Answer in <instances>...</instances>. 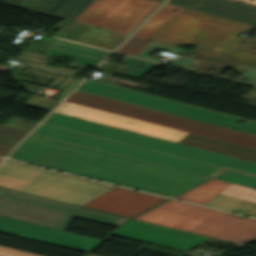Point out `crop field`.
<instances>
[{
  "label": "crop field",
  "mask_w": 256,
  "mask_h": 256,
  "mask_svg": "<svg viewBox=\"0 0 256 256\" xmlns=\"http://www.w3.org/2000/svg\"><path fill=\"white\" fill-rule=\"evenodd\" d=\"M31 134L9 156L92 179L171 197L206 177ZM42 137V136H41ZM136 166L128 165V163Z\"/></svg>",
  "instance_id": "8a807250"
},
{
  "label": "crop field",
  "mask_w": 256,
  "mask_h": 256,
  "mask_svg": "<svg viewBox=\"0 0 256 256\" xmlns=\"http://www.w3.org/2000/svg\"><path fill=\"white\" fill-rule=\"evenodd\" d=\"M253 27L184 8L150 39L174 46L196 45V51L212 57L256 67V41L240 37Z\"/></svg>",
  "instance_id": "ac0d7876"
},
{
  "label": "crop field",
  "mask_w": 256,
  "mask_h": 256,
  "mask_svg": "<svg viewBox=\"0 0 256 256\" xmlns=\"http://www.w3.org/2000/svg\"><path fill=\"white\" fill-rule=\"evenodd\" d=\"M134 219L233 243L256 238V220L169 200Z\"/></svg>",
  "instance_id": "34b2d1b8"
},
{
  "label": "crop field",
  "mask_w": 256,
  "mask_h": 256,
  "mask_svg": "<svg viewBox=\"0 0 256 256\" xmlns=\"http://www.w3.org/2000/svg\"><path fill=\"white\" fill-rule=\"evenodd\" d=\"M0 187L81 206L115 186L4 159Z\"/></svg>",
  "instance_id": "412701ff"
},
{
  "label": "crop field",
  "mask_w": 256,
  "mask_h": 256,
  "mask_svg": "<svg viewBox=\"0 0 256 256\" xmlns=\"http://www.w3.org/2000/svg\"><path fill=\"white\" fill-rule=\"evenodd\" d=\"M44 123L122 141L154 151L256 174V163L53 112Z\"/></svg>",
  "instance_id": "f4fd0767"
},
{
  "label": "crop field",
  "mask_w": 256,
  "mask_h": 256,
  "mask_svg": "<svg viewBox=\"0 0 256 256\" xmlns=\"http://www.w3.org/2000/svg\"><path fill=\"white\" fill-rule=\"evenodd\" d=\"M71 131L72 130L42 123L33 133L206 177L211 176L221 169V167L199 163L162 153H158L159 155L157 156L150 155L148 154L151 151L150 149L92 135L87 137H78L69 134ZM219 173L231 178L229 181L230 183L256 189V176L226 168L221 170Z\"/></svg>",
  "instance_id": "dd49c442"
},
{
  "label": "crop field",
  "mask_w": 256,
  "mask_h": 256,
  "mask_svg": "<svg viewBox=\"0 0 256 256\" xmlns=\"http://www.w3.org/2000/svg\"><path fill=\"white\" fill-rule=\"evenodd\" d=\"M66 101L104 110L118 115L192 132L252 148H256V136L234 132L229 128L81 92L75 90ZM122 103L121 105H118Z\"/></svg>",
  "instance_id": "e52e79f7"
},
{
  "label": "crop field",
  "mask_w": 256,
  "mask_h": 256,
  "mask_svg": "<svg viewBox=\"0 0 256 256\" xmlns=\"http://www.w3.org/2000/svg\"><path fill=\"white\" fill-rule=\"evenodd\" d=\"M0 215L65 230L72 215L118 226L128 218L9 190Z\"/></svg>",
  "instance_id": "d8731c3e"
},
{
  "label": "crop field",
  "mask_w": 256,
  "mask_h": 256,
  "mask_svg": "<svg viewBox=\"0 0 256 256\" xmlns=\"http://www.w3.org/2000/svg\"><path fill=\"white\" fill-rule=\"evenodd\" d=\"M77 90L229 127L235 130L256 135V122L242 119L246 121V123L244 125H239L236 123L239 118L191 107L127 89L86 80Z\"/></svg>",
  "instance_id": "5a996713"
},
{
  "label": "crop field",
  "mask_w": 256,
  "mask_h": 256,
  "mask_svg": "<svg viewBox=\"0 0 256 256\" xmlns=\"http://www.w3.org/2000/svg\"><path fill=\"white\" fill-rule=\"evenodd\" d=\"M161 3L157 0H95L75 18L78 22L129 35Z\"/></svg>",
  "instance_id": "3316defc"
},
{
  "label": "crop field",
  "mask_w": 256,
  "mask_h": 256,
  "mask_svg": "<svg viewBox=\"0 0 256 256\" xmlns=\"http://www.w3.org/2000/svg\"><path fill=\"white\" fill-rule=\"evenodd\" d=\"M55 112L178 142L187 132L158 126L64 101Z\"/></svg>",
  "instance_id": "28ad6ade"
},
{
  "label": "crop field",
  "mask_w": 256,
  "mask_h": 256,
  "mask_svg": "<svg viewBox=\"0 0 256 256\" xmlns=\"http://www.w3.org/2000/svg\"><path fill=\"white\" fill-rule=\"evenodd\" d=\"M0 232L87 252L100 240L0 216Z\"/></svg>",
  "instance_id": "d1516ede"
},
{
  "label": "crop field",
  "mask_w": 256,
  "mask_h": 256,
  "mask_svg": "<svg viewBox=\"0 0 256 256\" xmlns=\"http://www.w3.org/2000/svg\"><path fill=\"white\" fill-rule=\"evenodd\" d=\"M113 234L182 250H186L210 238L134 219L129 220Z\"/></svg>",
  "instance_id": "22f410ed"
},
{
  "label": "crop field",
  "mask_w": 256,
  "mask_h": 256,
  "mask_svg": "<svg viewBox=\"0 0 256 256\" xmlns=\"http://www.w3.org/2000/svg\"><path fill=\"white\" fill-rule=\"evenodd\" d=\"M163 200L165 198L116 187L83 207L130 218Z\"/></svg>",
  "instance_id": "cbeb9de0"
},
{
  "label": "crop field",
  "mask_w": 256,
  "mask_h": 256,
  "mask_svg": "<svg viewBox=\"0 0 256 256\" xmlns=\"http://www.w3.org/2000/svg\"><path fill=\"white\" fill-rule=\"evenodd\" d=\"M66 22L68 23L55 34L56 36L110 50H113L127 37V35L65 19L60 21L54 28L59 29Z\"/></svg>",
  "instance_id": "5142ce71"
},
{
  "label": "crop field",
  "mask_w": 256,
  "mask_h": 256,
  "mask_svg": "<svg viewBox=\"0 0 256 256\" xmlns=\"http://www.w3.org/2000/svg\"><path fill=\"white\" fill-rule=\"evenodd\" d=\"M169 2L250 24L256 22V8L243 5L236 0H169Z\"/></svg>",
  "instance_id": "d9b57169"
},
{
  "label": "crop field",
  "mask_w": 256,
  "mask_h": 256,
  "mask_svg": "<svg viewBox=\"0 0 256 256\" xmlns=\"http://www.w3.org/2000/svg\"><path fill=\"white\" fill-rule=\"evenodd\" d=\"M206 206L256 218V190L231 184Z\"/></svg>",
  "instance_id": "733c2abd"
},
{
  "label": "crop field",
  "mask_w": 256,
  "mask_h": 256,
  "mask_svg": "<svg viewBox=\"0 0 256 256\" xmlns=\"http://www.w3.org/2000/svg\"><path fill=\"white\" fill-rule=\"evenodd\" d=\"M15 7L72 20L94 0H13Z\"/></svg>",
  "instance_id": "4a817a6b"
},
{
  "label": "crop field",
  "mask_w": 256,
  "mask_h": 256,
  "mask_svg": "<svg viewBox=\"0 0 256 256\" xmlns=\"http://www.w3.org/2000/svg\"><path fill=\"white\" fill-rule=\"evenodd\" d=\"M110 52L58 40L51 48H49L44 55L46 56H72L76 57L75 63L85 64L95 67L102 59H104Z\"/></svg>",
  "instance_id": "bc2a9ffb"
},
{
  "label": "crop field",
  "mask_w": 256,
  "mask_h": 256,
  "mask_svg": "<svg viewBox=\"0 0 256 256\" xmlns=\"http://www.w3.org/2000/svg\"><path fill=\"white\" fill-rule=\"evenodd\" d=\"M180 143L232 155L256 162V149L189 133Z\"/></svg>",
  "instance_id": "214f88e0"
},
{
  "label": "crop field",
  "mask_w": 256,
  "mask_h": 256,
  "mask_svg": "<svg viewBox=\"0 0 256 256\" xmlns=\"http://www.w3.org/2000/svg\"><path fill=\"white\" fill-rule=\"evenodd\" d=\"M228 185L230 183L210 179L192 189L190 188L191 190L175 197V199L205 205Z\"/></svg>",
  "instance_id": "92a150f3"
},
{
  "label": "crop field",
  "mask_w": 256,
  "mask_h": 256,
  "mask_svg": "<svg viewBox=\"0 0 256 256\" xmlns=\"http://www.w3.org/2000/svg\"><path fill=\"white\" fill-rule=\"evenodd\" d=\"M175 5L166 3L134 36L148 39L163 23H169L183 8L172 12Z\"/></svg>",
  "instance_id": "dafd665d"
},
{
  "label": "crop field",
  "mask_w": 256,
  "mask_h": 256,
  "mask_svg": "<svg viewBox=\"0 0 256 256\" xmlns=\"http://www.w3.org/2000/svg\"><path fill=\"white\" fill-rule=\"evenodd\" d=\"M27 133L0 127V156L4 157Z\"/></svg>",
  "instance_id": "00972430"
},
{
  "label": "crop field",
  "mask_w": 256,
  "mask_h": 256,
  "mask_svg": "<svg viewBox=\"0 0 256 256\" xmlns=\"http://www.w3.org/2000/svg\"><path fill=\"white\" fill-rule=\"evenodd\" d=\"M125 63L127 66L138 68L134 73L130 75V77L137 78V79L145 76L149 71H151L155 67L153 62H149V61H145V60H141V59H137L129 56L125 57Z\"/></svg>",
  "instance_id": "a9b5d70f"
},
{
  "label": "crop field",
  "mask_w": 256,
  "mask_h": 256,
  "mask_svg": "<svg viewBox=\"0 0 256 256\" xmlns=\"http://www.w3.org/2000/svg\"><path fill=\"white\" fill-rule=\"evenodd\" d=\"M148 43L149 41L131 37L117 50V52L135 56Z\"/></svg>",
  "instance_id": "4177f3b9"
},
{
  "label": "crop field",
  "mask_w": 256,
  "mask_h": 256,
  "mask_svg": "<svg viewBox=\"0 0 256 256\" xmlns=\"http://www.w3.org/2000/svg\"><path fill=\"white\" fill-rule=\"evenodd\" d=\"M36 125H37V123H33V122H29V121H26V120H22V119L12 117L3 126L8 127V128H13V129L29 132Z\"/></svg>",
  "instance_id": "730fd06b"
},
{
  "label": "crop field",
  "mask_w": 256,
  "mask_h": 256,
  "mask_svg": "<svg viewBox=\"0 0 256 256\" xmlns=\"http://www.w3.org/2000/svg\"><path fill=\"white\" fill-rule=\"evenodd\" d=\"M0 256H41V255L0 246Z\"/></svg>",
  "instance_id": "eef30255"
},
{
  "label": "crop field",
  "mask_w": 256,
  "mask_h": 256,
  "mask_svg": "<svg viewBox=\"0 0 256 256\" xmlns=\"http://www.w3.org/2000/svg\"><path fill=\"white\" fill-rule=\"evenodd\" d=\"M239 1L256 5V0H254V1H250V0H239Z\"/></svg>",
  "instance_id": "ae1a2a85"
},
{
  "label": "crop field",
  "mask_w": 256,
  "mask_h": 256,
  "mask_svg": "<svg viewBox=\"0 0 256 256\" xmlns=\"http://www.w3.org/2000/svg\"><path fill=\"white\" fill-rule=\"evenodd\" d=\"M87 255H89V256H94V255H90V254H87Z\"/></svg>",
  "instance_id": "d3111659"
},
{
  "label": "crop field",
  "mask_w": 256,
  "mask_h": 256,
  "mask_svg": "<svg viewBox=\"0 0 256 256\" xmlns=\"http://www.w3.org/2000/svg\"><path fill=\"white\" fill-rule=\"evenodd\" d=\"M161 1H163V0H161Z\"/></svg>",
  "instance_id": "750c4746"
}]
</instances>
